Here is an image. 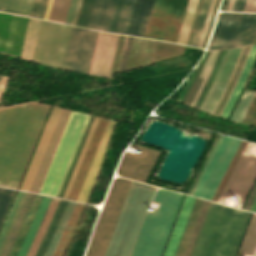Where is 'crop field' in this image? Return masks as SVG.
<instances>
[{
	"label": "crop field",
	"instance_id": "obj_1",
	"mask_svg": "<svg viewBox=\"0 0 256 256\" xmlns=\"http://www.w3.org/2000/svg\"><path fill=\"white\" fill-rule=\"evenodd\" d=\"M23 104L0 108V167L13 136ZM49 106L26 103L0 170V185L17 189Z\"/></svg>",
	"mask_w": 256,
	"mask_h": 256
},
{
	"label": "crop field",
	"instance_id": "obj_2",
	"mask_svg": "<svg viewBox=\"0 0 256 256\" xmlns=\"http://www.w3.org/2000/svg\"><path fill=\"white\" fill-rule=\"evenodd\" d=\"M211 203L192 256H235L249 212Z\"/></svg>",
	"mask_w": 256,
	"mask_h": 256
},
{
	"label": "crop field",
	"instance_id": "obj_3",
	"mask_svg": "<svg viewBox=\"0 0 256 256\" xmlns=\"http://www.w3.org/2000/svg\"><path fill=\"white\" fill-rule=\"evenodd\" d=\"M155 188L131 182L105 256H131Z\"/></svg>",
	"mask_w": 256,
	"mask_h": 256
},
{
	"label": "crop field",
	"instance_id": "obj_4",
	"mask_svg": "<svg viewBox=\"0 0 256 256\" xmlns=\"http://www.w3.org/2000/svg\"><path fill=\"white\" fill-rule=\"evenodd\" d=\"M183 194L158 190L153 201L158 211L147 212L132 256H161L183 199Z\"/></svg>",
	"mask_w": 256,
	"mask_h": 256
},
{
	"label": "crop field",
	"instance_id": "obj_5",
	"mask_svg": "<svg viewBox=\"0 0 256 256\" xmlns=\"http://www.w3.org/2000/svg\"><path fill=\"white\" fill-rule=\"evenodd\" d=\"M89 117L72 111L38 193L57 196Z\"/></svg>",
	"mask_w": 256,
	"mask_h": 256
},
{
	"label": "crop field",
	"instance_id": "obj_6",
	"mask_svg": "<svg viewBox=\"0 0 256 256\" xmlns=\"http://www.w3.org/2000/svg\"><path fill=\"white\" fill-rule=\"evenodd\" d=\"M255 33V14L219 12L208 49L250 45Z\"/></svg>",
	"mask_w": 256,
	"mask_h": 256
},
{
	"label": "crop field",
	"instance_id": "obj_7",
	"mask_svg": "<svg viewBox=\"0 0 256 256\" xmlns=\"http://www.w3.org/2000/svg\"><path fill=\"white\" fill-rule=\"evenodd\" d=\"M130 182L114 179L85 256L104 255Z\"/></svg>",
	"mask_w": 256,
	"mask_h": 256
},
{
	"label": "crop field",
	"instance_id": "obj_8",
	"mask_svg": "<svg viewBox=\"0 0 256 256\" xmlns=\"http://www.w3.org/2000/svg\"><path fill=\"white\" fill-rule=\"evenodd\" d=\"M71 29L42 20L32 61L62 69Z\"/></svg>",
	"mask_w": 256,
	"mask_h": 256
},
{
	"label": "crop field",
	"instance_id": "obj_9",
	"mask_svg": "<svg viewBox=\"0 0 256 256\" xmlns=\"http://www.w3.org/2000/svg\"><path fill=\"white\" fill-rule=\"evenodd\" d=\"M256 180V144L247 142L218 202L226 204L229 197L238 196L235 207L241 208Z\"/></svg>",
	"mask_w": 256,
	"mask_h": 256
},
{
	"label": "crop field",
	"instance_id": "obj_10",
	"mask_svg": "<svg viewBox=\"0 0 256 256\" xmlns=\"http://www.w3.org/2000/svg\"><path fill=\"white\" fill-rule=\"evenodd\" d=\"M241 48L221 50L196 107L212 113L238 59Z\"/></svg>",
	"mask_w": 256,
	"mask_h": 256
},
{
	"label": "crop field",
	"instance_id": "obj_11",
	"mask_svg": "<svg viewBox=\"0 0 256 256\" xmlns=\"http://www.w3.org/2000/svg\"><path fill=\"white\" fill-rule=\"evenodd\" d=\"M240 140L224 136L193 196L211 200Z\"/></svg>",
	"mask_w": 256,
	"mask_h": 256
},
{
	"label": "crop field",
	"instance_id": "obj_12",
	"mask_svg": "<svg viewBox=\"0 0 256 256\" xmlns=\"http://www.w3.org/2000/svg\"><path fill=\"white\" fill-rule=\"evenodd\" d=\"M80 28L72 29L63 69L89 74L98 32Z\"/></svg>",
	"mask_w": 256,
	"mask_h": 256
},
{
	"label": "crop field",
	"instance_id": "obj_13",
	"mask_svg": "<svg viewBox=\"0 0 256 256\" xmlns=\"http://www.w3.org/2000/svg\"><path fill=\"white\" fill-rule=\"evenodd\" d=\"M27 17L0 12V52L21 56L26 33Z\"/></svg>",
	"mask_w": 256,
	"mask_h": 256
},
{
	"label": "crop field",
	"instance_id": "obj_14",
	"mask_svg": "<svg viewBox=\"0 0 256 256\" xmlns=\"http://www.w3.org/2000/svg\"><path fill=\"white\" fill-rule=\"evenodd\" d=\"M132 145L134 148L141 149L143 151L142 154L134 156L125 152L117 169V173L122 177L145 183L160 151L134 143H132Z\"/></svg>",
	"mask_w": 256,
	"mask_h": 256
},
{
	"label": "crop field",
	"instance_id": "obj_15",
	"mask_svg": "<svg viewBox=\"0 0 256 256\" xmlns=\"http://www.w3.org/2000/svg\"><path fill=\"white\" fill-rule=\"evenodd\" d=\"M118 37L99 32L90 74L109 78Z\"/></svg>",
	"mask_w": 256,
	"mask_h": 256
},
{
	"label": "crop field",
	"instance_id": "obj_16",
	"mask_svg": "<svg viewBox=\"0 0 256 256\" xmlns=\"http://www.w3.org/2000/svg\"><path fill=\"white\" fill-rule=\"evenodd\" d=\"M153 2L154 0H131L121 33L143 37Z\"/></svg>",
	"mask_w": 256,
	"mask_h": 256
},
{
	"label": "crop field",
	"instance_id": "obj_17",
	"mask_svg": "<svg viewBox=\"0 0 256 256\" xmlns=\"http://www.w3.org/2000/svg\"><path fill=\"white\" fill-rule=\"evenodd\" d=\"M219 51L220 50H214V51H209V52L207 51L208 52V54L206 53L207 56L205 54L206 59H205V56H204L203 59L201 60L200 64H199L196 72H195L196 68L194 69L192 75L190 76V78L187 81L185 87L183 88L182 92L180 93V95L178 97V100H181V98H182V96H183V94H184V92H185V90H186V88H187V86H188V84H189V82H190L194 72H195V74H194V76H193V78H192V80H191V82H190V84H189V86H188V88H187V90H186L182 100H181L183 102L185 101V99H186V97H187V95H188V93H189V91H190V89H191V87H192V85H193V83H194L198 73H199V70H200V68L202 66V63H203V61L205 59V61L203 63V66H202V68L200 70V73H199V75H198V77H197V79H196V81H195V83H194V85H193V87H192V89H191V91H190L186 101H185L188 104H191L193 106L195 105V103H196V101H197V99H198V97H199V95H200V93H201V91H202V89H203L207 79H208V76H209V74H210V72L212 70V67H213V65L215 63V60L217 58V55H218Z\"/></svg>",
	"mask_w": 256,
	"mask_h": 256
},
{
	"label": "crop field",
	"instance_id": "obj_18",
	"mask_svg": "<svg viewBox=\"0 0 256 256\" xmlns=\"http://www.w3.org/2000/svg\"><path fill=\"white\" fill-rule=\"evenodd\" d=\"M115 121L109 120L76 201L86 203L100 169Z\"/></svg>",
	"mask_w": 256,
	"mask_h": 256
},
{
	"label": "crop field",
	"instance_id": "obj_19",
	"mask_svg": "<svg viewBox=\"0 0 256 256\" xmlns=\"http://www.w3.org/2000/svg\"><path fill=\"white\" fill-rule=\"evenodd\" d=\"M62 109L54 107L20 189L28 191Z\"/></svg>",
	"mask_w": 256,
	"mask_h": 256
},
{
	"label": "crop field",
	"instance_id": "obj_20",
	"mask_svg": "<svg viewBox=\"0 0 256 256\" xmlns=\"http://www.w3.org/2000/svg\"><path fill=\"white\" fill-rule=\"evenodd\" d=\"M69 114H70V111H67V110H64V109L62 110L61 115L58 119V122L56 124L55 129H54V132L52 134V137L49 141V144L47 146V149L45 151V154L43 156V159L40 163V166L38 168V171L36 173V176L34 178V181L31 185V188H30L29 191L35 192V193L38 192L39 187H40V185L42 183V180L44 178V175L46 173V170L48 168V165H49V163L51 161V158L53 156V153L55 151V148L57 146V143H58V141L60 139V136L62 134V131L64 129V126L66 124V121L69 117Z\"/></svg>",
	"mask_w": 256,
	"mask_h": 256
},
{
	"label": "crop field",
	"instance_id": "obj_21",
	"mask_svg": "<svg viewBox=\"0 0 256 256\" xmlns=\"http://www.w3.org/2000/svg\"><path fill=\"white\" fill-rule=\"evenodd\" d=\"M93 118H94V117H92V116L90 117L89 122H88V124H87V126H86V129H85L84 134H83V136H82V138H81V141H80V143H79V146H78V148H77V150H76V153H75V155H74V158H73V160H72V163H71V165H70V167H69V170H68V172H67V175H66V177H65V179H64V182H63V184H62V187H61V189H60V191H59V194H58V196H57V197H59V198H61L62 195H63V192H64V190H65V187H66V185H67V182H68V180H69V177H70L71 172H72V170H73V167H74V165H75V162H76V160H77V157H78V155H79V153H80V150H81V148H82V145H83V143H84V140H85V138H86V135H87V133H88V130H89V128H90V125H91V123H92ZM98 119H99V118L95 117L94 120H93V123H92V125H91L90 130H89V133H88V135H87V138H86V140H85V143H84L83 148H82V150H81V153H80V155H79V158H78V160H77V162H76V165H75V167H74V170H73V172H72V175H71V177H70V180H69V182H68V185H67V187H66V190H65V192H64V195H63V197H62V198H64V199H66L67 196H68V193H69V191H70V188H71V186H72V183H73V181H74V178H75L76 173H77V171H78V168H79V166H80V163H81V161H82V158H83V156H84V154H85V151H86V149H87V146H88V144H89V141H90V139H91V136H92V134H93V131H94V129H95V126H96V124H97Z\"/></svg>",
	"mask_w": 256,
	"mask_h": 256
},
{
	"label": "crop field",
	"instance_id": "obj_22",
	"mask_svg": "<svg viewBox=\"0 0 256 256\" xmlns=\"http://www.w3.org/2000/svg\"><path fill=\"white\" fill-rule=\"evenodd\" d=\"M195 197L186 196L183 207L181 209L180 215L178 217L176 226L174 228L173 234L171 236L170 242L168 244L167 250L164 256H174L176 249L178 247L179 241L181 239L182 233L184 231L185 225L187 223L188 217L190 215L191 209L193 207Z\"/></svg>",
	"mask_w": 256,
	"mask_h": 256
},
{
	"label": "crop field",
	"instance_id": "obj_23",
	"mask_svg": "<svg viewBox=\"0 0 256 256\" xmlns=\"http://www.w3.org/2000/svg\"><path fill=\"white\" fill-rule=\"evenodd\" d=\"M130 0H112L103 31L121 32Z\"/></svg>",
	"mask_w": 256,
	"mask_h": 256
},
{
	"label": "crop field",
	"instance_id": "obj_24",
	"mask_svg": "<svg viewBox=\"0 0 256 256\" xmlns=\"http://www.w3.org/2000/svg\"><path fill=\"white\" fill-rule=\"evenodd\" d=\"M34 196L35 195H33V194L32 195H30L29 193L26 194V196L23 200V203L20 207V210H19V212L16 216V219H15L13 225H12V228L9 232V235H8L6 241H5V244L2 248L0 256H8V253H9L11 247H12V244H13L16 236H17V233H18V231L21 227V224H22V222H23V220L26 216V213H27V211L30 207V204H31Z\"/></svg>",
	"mask_w": 256,
	"mask_h": 256
},
{
	"label": "crop field",
	"instance_id": "obj_25",
	"mask_svg": "<svg viewBox=\"0 0 256 256\" xmlns=\"http://www.w3.org/2000/svg\"><path fill=\"white\" fill-rule=\"evenodd\" d=\"M51 199L50 197H43L17 256H26Z\"/></svg>",
	"mask_w": 256,
	"mask_h": 256
},
{
	"label": "crop field",
	"instance_id": "obj_26",
	"mask_svg": "<svg viewBox=\"0 0 256 256\" xmlns=\"http://www.w3.org/2000/svg\"><path fill=\"white\" fill-rule=\"evenodd\" d=\"M255 58H256V45H253L252 48H251V51L249 53V56L247 58L244 69L242 71V74L240 76V79L238 81V84H237V86H236V88H235V90H234V92H233V94H232V96H231L223 114H222V117H226V118L228 117V115H229V113H230V111H231V109H232V107H233V105H234V103H235V101H236V99H237L245 81H246V78H247V76L250 72V69H251V67L254 63Z\"/></svg>",
	"mask_w": 256,
	"mask_h": 256
},
{
	"label": "crop field",
	"instance_id": "obj_27",
	"mask_svg": "<svg viewBox=\"0 0 256 256\" xmlns=\"http://www.w3.org/2000/svg\"><path fill=\"white\" fill-rule=\"evenodd\" d=\"M111 0H95L88 22V28L103 30Z\"/></svg>",
	"mask_w": 256,
	"mask_h": 256
},
{
	"label": "crop field",
	"instance_id": "obj_28",
	"mask_svg": "<svg viewBox=\"0 0 256 256\" xmlns=\"http://www.w3.org/2000/svg\"><path fill=\"white\" fill-rule=\"evenodd\" d=\"M42 197L43 196H39V195L35 196L32 204H31V207L27 213V216L22 224V227L18 233V236L13 244V247L9 253V256H16Z\"/></svg>",
	"mask_w": 256,
	"mask_h": 256
},
{
	"label": "crop field",
	"instance_id": "obj_29",
	"mask_svg": "<svg viewBox=\"0 0 256 256\" xmlns=\"http://www.w3.org/2000/svg\"><path fill=\"white\" fill-rule=\"evenodd\" d=\"M59 201L60 200H58V199H54V198L52 199L27 256H35L37 249L42 241V238L46 232V229L51 221V218L55 212V209H56Z\"/></svg>",
	"mask_w": 256,
	"mask_h": 256
},
{
	"label": "crop field",
	"instance_id": "obj_30",
	"mask_svg": "<svg viewBox=\"0 0 256 256\" xmlns=\"http://www.w3.org/2000/svg\"><path fill=\"white\" fill-rule=\"evenodd\" d=\"M41 20L30 18L22 52V59H32Z\"/></svg>",
	"mask_w": 256,
	"mask_h": 256
},
{
	"label": "crop field",
	"instance_id": "obj_31",
	"mask_svg": "<svg viewBox=\"0 0 256 256\" xmlns=\"http://www.w3.org/2000/svg\"><path fill=\"white\" fill-rule=\"evenodd\" d=\"M211 202L203 201L200 212L198 214L197 220L195 222L194 228L192 230L191 236L189 238L188 244L186 246L183 256H191L194 245L196 243L197 237L199 235L200 229L202 227L203 221L205 219L206 213L208 211L209 205Z\"/></svg>",
	"mask_w": 256,
	"mask_h": 256
},
{
	"label": "crop field",
	"instance_id": "obj_32",
	"mask_svg": "<svg viewBox=\"0 0 256 256\" xmlns=\"http://www.w3.org/2000/svg\"><path fill=\"white\" fill-rule=\"evenodd\" d=\"M33 0H0V11L30 15Z\"/></svg>",
	"mask_w": 256,
	"mask_h": 256
},
{
	"label": "crop field",
	"instance_id": "obj_33",
	"mask_svg": "<svg viewBox=\"0 0 256 256\" xmlns=\"http://www.w3.org/2000/svg\"><path fill=\"white\" fill-rule=\"evenodd\" d=\"M67 202L68 201H64V200L60 201V203H59V205H58V207L56 209V212H55V214H54V216L52 218V221H51V223H50V225H49V227L47 229V232H46V234H45V236L43 238V241H42V243H41V245H40V247L38 249V252H37L36 256H43L44 255L45 250H46V248H47V246H48V244L50 242V239H51V237H52V235L54 233V230H55V228H56V226H57V224L59 222V219H60V217H61V215L63 213V210H64Z\"/></svg>",
	"mask_w": 256,
	"mask_h": 256
},
{
	"label": "crop field",
	"instance_id": "obj_34",
	"mask_svg": "<svg viewBox=\"0 0 256 256\" xmlns=\"http://www.w3.org/2000/svg\"><path fill=\"white\" fill-rule=\"evenodd\" d=\"M256 246V214H253L238 256L252 255ZM255 252V251H254ZM254 255V254H253Z\"/></svg>",
	"mask_w": 256,
	"mask_h": 256
},
{
	"label": "crop field",
	"instance_id": "obj_35",
	"mask_svg": "<svg viewBox=\"0 0 256 256\" xmlns=\"http://www.w3.org/2000/svg\"><path fill=\"white\" fill-rule=\"evenodd\" d=\"M210 1L211 0H203L202 1L201 8H200V11H199V14H198V18H197V21H196L194 31H193V34H192L191 41H190L189 45L196 46V47L198 46V42H199V39H200V36H201V32H202V29H203L205 18H206L208 8H209V5H210Z\"/></svg>",
	"mask_w": 256,
	"mask_h": 256
},
{
	"label": "crop field",
	"instance_id": "obj_36",
	"mask_svg": "<svg viewBox=\"0 0 256 256\" xmlns=\"http://www.w3.org/2000/svg\"><path fill=\"white\" fill-rule=\"evenodd\" d=\"M202 201H203L202 199H198V198L196 199V202L194 204L193 210L191 212L190 218L188 220L187 226L185 228L184 234L182 236L181 242L179 244V247L175 256H182L183 254V251L185 249L186 243L188 241L189 235L191 233L192 227L194 225V222L197 217Z\"/></svg>",
	"mask_w": 256,
	"mask_h": 256
},
{
	"label": "crop field",
	"instance_id": "obj_37",
	"mask_svg": "<svg viewBox=\"0 0 256 256\" xmlns=\"http://www.w3.org/2000/svg\"><path fill=\"white\" fill-rule=\"evenodd\" d=\"M198 0H190L189 4H188V8L185 14V18L183 21V25L181 28V32L178 38V42L180 44H186V40L189 34V30L191 27V23L193 20V16L196 10V6H197Z\"/></svg>",
	"mask_w": 256,
	"mask_h": 256
},
{
	"label": "crop field",
	"instance_id": "obj_38",
	"mask_svg": "<svg viewBox=\"0 0 256 256\" xmlns=\"http://www.w3.org/2000/svg\"><path fill=\"white\" fill-rule=\"evenodd\" d=\"M69 2L70 0H53L47 20L63 23Z\"/></svg>",
	"mask_w": 256,
	"mask_h": 256
},
{
	"label": "crop field",
	"instance_id": "obj_39",
	"mask_svg": "<svg viewBox=\"0 0 256 256\" xmlns=\"http://www.w3.org/2000/svg\"><path fill=\"white\" fill-rule=\"evenodd\" d=\"M16 191L0 188V225Z\"/></svg>",
	"mask_w": 256,
	"mask_h": 256
},
{
	"label": "crop field",
	"instance_id": "obj_40",
	"mask_svg": "<svg viewBox=\"0 0 256 256\" xmlns=\"http://www.w3.org/2000/svg\"><path fill=\"white\" fill-rule=\"evenodd\" d=\"M94 0H82V4L79 10V14L76 20V24L78 26H87V22L89 19V15L91 12V8Z\"/></svg>",
	"mask_w": 256,
	"mask_h": 256
},
{
	"label": "crop field",
	"instance_id": "obj_41",
	"mask_svg": "<svg viewBox=\"0 0 256 256\" xmlns=\"http://www.w3.org/2000/svg\"><path fill=\"white\" fill-rule=\"evenodd\" d=\"M23 193H24V192L19 191L18 194H17V196H16V198H15V201H14L12 207H11V210H10V212H9V214H8V216H7V219H6V221H5L4 225H3V228H2V230H1V232H0V244H1L2 240H3V237H4V235H5L6 231H7V229H8V226H9L11 220H12V217H13L15 211H16V208H17V206H18V204H19V202H20V199H21ZM24 194H25V193H24ZM23 196H24V195H23ZM22 198H23V197H22ZM19 205H20V204H19ZM18 207H19V206H18ZM15 214H16V213H15Z\"/></svg>",
	"mask_w": 256,
	"mask_h": 256
},
{
	"label": "crop field",
	"instance_id": "obj_42",
	"mask_svg": "<svg viewBox=\"0 0 256 256\" xmlns=\"http://www.w3.org/2000/svg\"><path fill=\"white\" fill-rule=\"evenodd\" d=\"M81 0H71L64 23L75 24Z\"/></svg>",
	"mask_w": 256,
	"mask_h": 256
},
{
	"label": "crop field",
	"instance_id": "obj_43",
	"mask_svg": "<svg viewBox=\"0 0 256 256\" xmlns=\"http://www.w3.org/2000/svg\"><path fill=\"white\" fill-rule=\"evenodd\" d=\"M47 1L48 0H35L30 16L34 18L42 19Z\"/></svg>",
	"mask_w": 256,
	"mask_h": 256
},
{
	"label": "crop field",
	"instance_id": "obj_44",
	"mask_svg": "<svg viewBox=\"0 0 256 256\" xmlns=\"http://www.w3.org/2000/svg\"><path fill=\"white\" fill-rule=\"evenodd\" d=\"M215 2H216V0L211 1L209 12H208V15H207V18H206V22H205L204 29H203V32H202V36H201L199 46H198L200 48L203 47V43H204L205 36H206L207 30H208V26H209V23H210V19H211V16H212V12H213V9H214Z\"/></svg>",
	"mask_w": 256,
	"mask_h": 256
},
{
	"label": "crop field",
	"instance_id": "obj_45",
	"mask_svg": "<svg viewBox=\"0 0 256 256\" xmlns=\"http://www.w3.org/2000/svg\"><path fill=\"white\" fill-rule=\"evenodd\" d=\"M132 38L133 37L129 36L128 44H125V46H124V52H123V57H122L121 66H120L119 72L123 71L125 69V65H126L128 53H129V50H130Z\"/></svg>",
	"mask_w": 256,
	"mask_h": 256
},
{
	"label": "crop field",
	"instance_id": "obj_46",
	"mask_svg": "<svg viewBox=\"0 0 256 256\" xmlns=\"http://www.w3.org/2000/svg\"><path fill=\"white\" fill-rule=\"evenodd\" d=\"M255 197H256V184L254 185L249 197L247 198V200H246V202L243 206V209L249 210V208H250L252 202L254 201Z\"/></svg>",
	"mask_w": 256,
	"mask_h": 256
},
{
	"label": "crop field",
	"instance_id": "obj_47",
	"mask_svg": "<svg viewBox=\"0 0 256 256\" xmlns=\"http://www.w3.org/2000/svg\"><path fill=\"white\" fill-rule=\"evenodd\" d=\"M244 11L256 12V0H247Z\"/></svg>",
	"mask_w": 256,
	"mask_h": 256
},
{
	"label": "crop field",
	"instance_id": "obj_48",
	"mask_svg": "<svg viewBox=\"0 0 256 256\" xmlns=\"http://www.w3.org/2000/svg\"><path fill=\"white\" fill-rule=\"evenodd\" d=\"M219 2H220V0H217V2H216V6H215V9H214V13H213V16H212V19H211V23H210V26H209V30H208L207 37H206V40H205V43H204V47H203V48H205V46H206V44H207L208 37H209V34H210V30H211V27H212V24H213L214 16H215V13H216V11H217V9H218V6H219ZM215 17H216V16H215Z\"/></svg>",
	"mask_w": 256,
	"mask_h": 256
},
{
	"label": "crop field",
	"instance_id": "obj_49",
	"mask_svg": "<svg viewBox=\"0 0 256 256\" xmlns=\"http://www.w3.org/2000/svg\"><path fill=\"white\" fill-rule=\"evenodd\" d=\"M245 3H246V0H236L233 11H243Z\"/></svg>",
	"mask_w": 256,
	"mask_h": 256
},
{
	"label": "crop field",
	"instance_id": "obj_50",
	"mask_svg": "<svg viewBox=\"0 0 256 256\" xmlns=\"http://www.w3.org/2000/svg\"><path fill=\"white\" fill-rule=\"evenodd\" d=\"M7 80H8L7 77H2L0 80V99H1L2 93L4 91L5 85L7 83Z\"/></svg>",
	"mask_w": 256,
	"mask_h": 256
},
{
	"label": "crop field",
	"instance_id": "obj_51",
	"mask_svg": "<svg viewBox=\"0 0 256 256\" xmlns=\"http://www.w3.org/2000/svg\"><path fill=\"white\" fill-rule=\"evenodd\" d=\"M228 3H229V0H223L220 10L226 11V10H227V6H228Z\"/></svg>",
	"mask_w": 256,
	"mask_h": 256
},
{
	"label": "crop field",
	"instance_id": "obj_52",
	"mask_svg": "<svg viewBox=\"0 0 256 256\" xmlns=\"http://www.w3.org/2000/svg\"><path fill=\"white\" fill-rule=\"evenodd\" d=\"M51 2H52V0L48 1L47 8H46V11H45V14H44V18H43L45 20L47 19V15H48V12H49V9H50Z\"/></svg>",
	"mask_w": 256,
	"mask_h": 256
},
{
	"label": "crop field",
	"instance_id": "obj_53",
	"mask_svg": "<svg viewBox=\"0 0 256 256\" xmlns=\"http://www.w3.org/2000/svg\"><path fill=\"white\" fill-rule=\"evenodd\" d=\"M234 3H235V0H230V3H229L227 11H232L233 10Z\"/></svg>",
	"mask_w": 256,
	"mask_h": 256
},
{
	"label": "crop field",
	"instance_id": "obj_54",
	"mask_svg": "<svg viewBox=\"0 0 256 256\" xmlns=\"http://www.w3.org/2000/svg\"><path fill=\"white\" fill-rule=\"evenodd\" d=\"M250 210L256 212V199H255V201L253 202V204H252Z\"/></svg>",
	"mask_w": 256,
	"mask_h": 256
},
{
	"label": "crop field",
	"instance_id": "obj_55",
	"mask_svg": "<svg viewBox=\"0 0 256 256\" xmlns=\"http://www.w3.org/2000/svg\"><path fill=\"white\" fill-rule=\"evenodd\" d=\"M198 11V10H197ZM194 22V21H193ZM193 25V24H192ZM192 28V27H191ZM190 35V34H189ZM188 39H189V37H188ZM188 42V41H187Z\"/></svg>",
	"mask_w": 256,
	"mask_h": 256
},
{
	"label": "crop field",
	"instance_id": "obj_56",
	"mask_svg": "<svg viewBox=\"0 0 256 256\" xmlns=\"http://www.w3.org/2000/svg\"><path fill=\"white\" fill-rule=\"evenodd\" d=\"M1 78V77H0Z\"/></svg>",
	"mask_w": 256,
	"mask_h": 256
},
{
	"label": "crop field",
	"instance_id": "obj_57",
	"mask_svg": "<svg viewBox=\"0 0 256 256\" xmlns=\"http://www.w3.org/2000/svg\"><path fill=\"white\" fill-rule=\"evenodd\" d=\"M256 256V255H255Z\"/></svg>",
	"mask_w": 256,
	"mask_h": 256
}]
</instances>
